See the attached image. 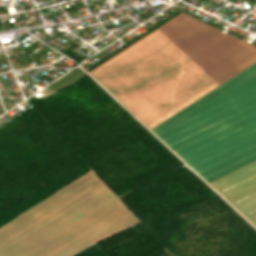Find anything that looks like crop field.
I'll return each mask as SVG.
<instances>
[{
    "label": "crop field",
    "instance_id": "crop-field-1",
    "mask_svg": "<svg viewBox=\"0 0 256 256\" xmlns=\"http://www.w3.org/2000/svg\"><path fill=\"white\" fill-rule=\"evenodd\" d=\"M152 131L208 183L256 160V64ZM210 185L256 225V161Z\"/></svg>",
    "mask_w": 256,
    "mask_h": 256
},
{
    "label": "crop field",
    "instance_id": "crop-field-2",
    "mask_svg": "<svg viewBox=\"0 0 256 256\" xmlns=\"http://www.w3.org/2000/svg\"><path fill=\"white\" fill-rule=\"evenodd\" d=\"M137 223L91 171L0 228V256H74Z\"/></svg>",
    "mask_w": 256,
    "mask_h": 256
},
{
    "label": "crop field",
    "instance_id": "crop-field-3",
    "mask_svg": "<svg viewBox=\"0 0 256 256\" xmlns=\"http://www.w3.org/2000/svg\"><path fill=\"white\" fill-rule=\"evenodd\" d=\"M218 85L256 62V47L181 13L157 28Z\"/></svg>",
    "mask_w": 256,
    "mask_h": 256
}]
</instances>
